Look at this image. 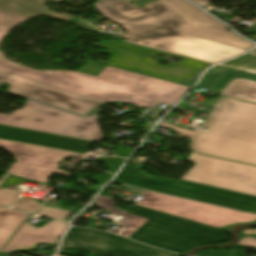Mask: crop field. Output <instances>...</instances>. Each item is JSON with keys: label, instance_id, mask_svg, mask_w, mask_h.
Segmentation results:
<instances>
[{"label": "crop field", "instance_id": "1", "mask_svg": "<svg viewBox=\"0 0 256 256\" xmlns=\"http://www.w3.org/2000/svg\"><path fill=\"white\" fill-rule=\"evenodd\" d=\"M109 20L128 30L122 39L184 56L218 62L245 50L180 34V16L158 1L139 9L122 0L94 4Z\"/></svg>", "mask_w": 256, "mask_h": 256}, {"label": "crop field", "instance_id": "2", "mask_svg": "<svg viewBox=\"0 0 256 256\" xmlns=\"http://www.w3.org/2000/svg\"><path fill=\"white\" fill-rule=\"evenodd\" d=\"M175 132L191 135V149L256 165V105L229 98H222L214 105L207 121L197 129L187 131L161 122Z\"/></svg>", "mask_w": 256, "mask_h": 256}, {"label": "crop field", "instance_id": "3", "mask_svg": "<svg viewBox=\"0 0 256 256\" xmlns=\"http://www.w3.org/2000/svg\"><path fill=\"white\" fill-rule=\"evenodd\" d=\"M96 206L124 216L118 222L129 225L120 235L169 251L186 255L194 246L227 240L222 229L172 216L136 205L124 212L116 209L112 199L99 195Z\"/></svg>", "mask_w": 256, "mask_h": 256}, {"label": "crop field", "instance_id": "4", "mask_svg": "<svg viewBox=\"0 0 256 256\" xmlns=\"http://www.w3.org/2000/svg\"><path fill=\"white\" fill-rule=\"evenodd\" d=\"M0 71L66 89L102 102H129L134 94L144 96L170 85L158 79L107 66L97 77L68 71H33L16 65L0 52Z\"/></svg>", "mask_w": 256, "mask_h": 256}, {"label": "crop field", "instance_id": "5", "mask_svg": "<svg viewBox=\"0 0 256 256\" xmlns=\"http://www.w3.org/2000/svg\"><path fill=\"white\" fill-rule=\"evenodd\" d=\"M97 117L98 113L92 117L83 118L34 101H27L22 109L10 115L0 114V124L90 141H100L102 134Z\"/></svg>", "mask_w": 256, "mask_h": 256}, {"label": "crop field", "instance_id": "6", "mask_svg": "<svg viewBox=\"0 0 256 256\" xmlns=\"http://www.w3.org/2000/svg\"><path fill=\"white\" fill-rule=\"evenodd\" d=\"M114 181L239 210H248L256 207V196L183 180L157 178L146 174L138 168L127 165Z\"/></svg>", "mask_w": 256, "mask_h": 256}, {"label": "crop field", "instance_id": "7", "mask_svg": "<svg viewBox=\"0 0 256 256\" xmlns=\"http://www.w3.org/2000/svg\"><path fill=\"white\" fill-rule=\"evenodd\" d=\"M99 47H103L107 49V52L100 51V53H105L111 55L110 59L107 62L102 60H97L102 63L124 68L127 70L159 77L162 79L178 82L186 79H190L196 76V74H200V71L176 66V65H161L158 64V59L154 60L152 57L154 55H165L170 57L181 58L180 62L177 64L197 68V69H205L208 67L209 63H205L202 61L150 49L141 46H136L128 43H124L121 41H113L112 43L101 42L99 44H94Z\"/></svg>", "mask_w": 256, "mask_h": 256}, {"label": "crop field", "instance_id": "8", "mask_svg": "<svg viewBox=\"0 0 256 256\" xmlns=\"http://www.w3.org/2000/svg\"><path fill=\"white\" fill-rule=\"evenodd\" d=\"M196 163L183 180L256 195V167L192 153Z\"/></svg>", "mask_w": 256, "mask_h": 256}, {"label": "crop field", "instance_id": "9", "mask_svg": "<svg viewBox=\"0 0 256 256\" xmlns=\"http://www.w3.org/2000/svg\"><path fill=\"white\" fill-rule=\"evenodd\" d=\"M62 248L83 249L93 254H132L136 256H180L147 245L139 244L125 237L100 231L71 227Z\"/></svg>", "mask_w": 256, "mask_h": 256}, {"label": "crop field", "instance_id": "10", "mask_svg": "<svg viewBox=\"0 0 256 256\" xmlns=\"http://www.w3.org/2000/svg\"><path fill=\"white\" fill-rule=\"evenodd\" d=\"M136 204L217 227L242 213V211L238 210L200 203L151 191L144 194Z\"/></svg>", "mask_w": 256, "mask_h": 256}, {"label": "crop field", "instance_id": "11", "mask_svg": "<svg viewBox=\"0 0 256 256\" xmlns=\"http://www.w3.org/2000/svg\"><path fill=\"white\" fill-rule=\"evenodd\" d=\"M159 2L181 16L179 32L245 50L254 45L226 30V26L222 23L183 0H160Z\"/></svg>", "mask_w": 256, "mask_h": 256}, {"label": "crop field", "instance_id": "12", "mask_svg": "<svg viewBox=\"0 0 256 256\" xmlns=\"http://www.w3.org/2000/svg\"><path fill=\"white\" fill-rule=\"evenodd\" d=\"M5 83L10 84L8 91L55 107L81 115L87 114L98 106L99 101L46 84L9 74Z\"/></svg>", "mask_w": 256, "mask_h": 256}, {"label": "crop field", "instance_id": "13", "mask_svg": "<svg viewBox=\"0 0 256 256\" xmlns=\"http://www.w3.org/2000/svg\"><path fill=\"white\" fill-rule=\"evenodd\" d=\"M0 139L86 153L92 142L0 125Z\"/></svg>", "mask_w": 256, "mask_h": 256}, {"label": "crop field", "instance_id": "14", "mask_svg": "<svg viewBox=\"0 0 256 256\" xmlns=\"http://www.w3.org/2000/svg\"><path fill=\"white\" fill-rule=\"evenodd\" d=\"M0 146L9 150L16 162L58 168V163L66 157H83L84 155L41 148L36 146L6 142L0 140Z\"/></svg>", "mask_w": 256, "mask_h": 256}, {"label": "crop field", "instance_id": "15", "mask_svg": "<svg viewBox=\"0 0 256 256\" xmlns=\"http://www.w3.org/2000/svg\"><path fill=\"white\" fill-rule=\"evenodd\" d=\"M189 87L173 84L149 93L144 97L134 95L130 104L156 108L159 103L172 105Z\"/></svg>", "mask_w": 256, "mask_h": 256}, {"label": "crop field", "instance_id": "16", "mask_svg": "<svg viewBox=\"0 0 256 256\" xmlns=\"http://www.w3.org/2000/svg\"><path fill=\"white\" fill-rule=\"evenodd\" d=\"M0 10L29 18H34L38 15H46L67 21L72 18V16L52 12L47 7L23 0H0Z\"/></svg>", "mask_w": 256, "mask_h": 256}, {"label": "crop field", "instance_id": "17", "mask_svg": "<svg viewBox=\"0 0 256 256\" xmlns=\"http://www.w3.org/2000/svg\"><path fill=\"white\" fill-rule=\"evenodd\" d=\"M43 172H45L46 174H43ZM53 173L73 177V175L60 169L18 163H13V165L6 172V174L8 175L44 184L49 183V177Z\"/></svg>", "mask_w": 256, "mask_h": 256}, {"label": "crop field", "instance_id": "18", "mask_svg": "<svg viewBox=\"0 0 256 256\" xmlns=\"http://www.w3.org/2000/svg\"><path fill=\"white\" fill-rule=\"evenodd\" d=\"M39 243L56 246L57 235L15 233L0 252L15 249H35Z\"/></svg>", "mask_w": 256, "mask_h": 256}, {"label": "crop field", "instance_id": "19", "mask_svg": "<svg viewBox=\"0 0 256 256\" xmlns=\"http://www.w3.org/2000/svg\"><path fill=\"white\" fill-rule=\"evenodd\" d=\"M29 214L0 207V250Z\"/></svg>", "mask_w": 256, "mask_h": 256}, {"label": "crop field", "instance_id": "20", "mask_svg": "<svg viewBox=\"0 0 256 256\" xmlns=\"http://www.w3.org/2000/svg\"><path fill=\"white\" fill-rule=\"evenodd\" d=\"M220 95L256 102V82L243 79L232 80Z\"/></svg>", "mask_w": 256, "mask_h": 256}, {"label": "crop field", "instance_id": "21", "mask_svg": "<svg viewBox=\"0 0 256 256\" xmlns=\"http://www.w3.org/2000/svg\"><path fill=\"white\" fill-rule=\"evenodd\" d=\"M30 223L24 222L23 225L17 232L27 233H50V234H62L65 228L68 226L67 223H62L52 220L47 225L37 229L29 225Z\"/></svg>", "mask_w": 256, "mask_h": 256}, {"label": "crop field", "instance_id": "22", "mask_svg": "<svg viewBox=\"0 0 256 256\" xmlns=\"http://www.w3.org/2000/svg\"><path fill=\"white\" fill-rule=\"evenodd\" d=\"M218 66L256 74V57L245 55L241 58L230 60Z\"/></svg>", "mask_w": 256, "mask_h": 256}, {"label": "crop field", "instance_id": "23", "mask_svg": "<svg viewBox=\"0 0 256 256\" xmlns=\"http://www.w3.org/2000/svg\"><path fill=\"white\" fill-rule=\"evenodd\" d=\"M26 180H22L16 177L10 176L6 182H8L5 188H0V205L9 207V205L15 200V198L21 193L19 190H9V185H19Z\"/></svg>", "mask_w": 256, "mask_h": 256}, {"label": "crop field", "instance_id": "24", "mask_svg": "<svg viewBox=\"0 0 256 256\" xmlns=\"http://www.w3.org/2000/svg\"><path fill=\"white\" fill-rule=\"evenodd\" d=\"M28 18L0 12V45L3 37L16 25L26 21Z\"/></svg>", "mask_w": 256, "mask_h": 256}, {"label": "crop field", "instance_id": "25", "mask_svg": "<svg viewBox=\"0 0 256 256\" xmlns=\"http://www.w3.org/2000/svg\"><path fill=\"white\" fill-rule=\"evenodd\" d=\"M70 211H76V209L70 210V208L63 207V206H60L59 209L44 207V209L41 211L40 215L64 220L66 218V216L70 213Z\"/></svg>", "mask_w": 256, "mask_h": 256}, {"label": "crop field", "instance_id": "26", "mask_svg": "<svg viewBox=\"0 0 256 256\" xmlns=\"http://www.w3.org/2000/svg\"><path fill=\"white\" fill-rule=\"evenodd\" d=\"M41 207L42 205L39 204L37 201L26 198H19L13 205V208L30 211L35 214L39 211Z\"/></svg>", "mask_w": 256, "mask_h": 256}, {"label": "crop field", "instance_id": "27", "mask_svg": "<svg viewBox=\"0 0 256 256\" xmlns=\"http://www.w3.org/2000/svg\"><path fill=\"white\" fill-rule=\"evenodd\" d=\"M105 67L106 65L89 60L77 72L97 77Z\"/></svg>", "mask_w": 256, "mask_h": 256}, {"label": "crop field", "instance_id": "28", "mask_svg": "<svg viewBox=\"0 0 256 256\" xmlns=\"http://www.w3.org/2000/svg\"><path fill=\"white\" fill-rule=\"evenodd\" d=\"M254 222H256V215L244 212L241 215H239L238 217H236L233 220H231L230 222H228L227 224L221 226L220 228L230 229L235 224L254 223Z\"/></svg>", "mask_w": 256, "mask_h": 256}, {"label": "crop field", "instance_id": "29", "mask_svg": "<svg viewBox=\"0 0 256 256\" xmlns=\"http://www.w3.org/2000/svg\"><path fill=\"white\" fill-rule=\"evenodd\" d=\"M122 158L119 157H112L111 159L106 158H98V161L105 162L110 169L111 173H115L117 169L122 165L123 161Z\"/></svg>", "mask_w": 256, "mask_h": 256}, {"label": "crop field", "instance_id": "30", "mask_svg": "<svg viewBox=\"0 0 256 256\" xmlns=\"http://www.w3.org/2000/svg\"><path fill=\"white\" fill-rule=\"evenodd\" d=\"M195 256H245V254L237 252L199 251Z\"/></svg>", "mask_w": 256, "mask_h": 256}, {"label": "crop field", "instance_id": "31", "mask_svg": "<svg viewBox=\"0 0 256 256\" xmlns=\"http://www.w3.org/2000/svg\"><path fill=\"white\" fill-rule=\"evenodd\" d=\"M155 1H157V0H134V1L130 2V3H132V4L142 8V7H144V6L148 5V4H151V3L155 2Z\"/></svg>", "mask_w": 256, "mask_h": 256}, {"label": "crop field", "instance_id": "32", "mask_svg": "<svg viewBox=\"0 0 256 256\" xmlns=\"http://www.w3.org/2000/svg\"><path fill=\"white\" fill-rule=\"evenodd\" d=\"M240 244L246 245V246L256 247V239L245 237V238L240 242Z\"/></svg>", "mask_w": 256, "mask_h": 256}, {"label": "crop field", "instance_id": "33", "mask_svg": "<svg viewBox=\"0 0 256 256\" xmlns=\"http://www.w3.org/2000/svg\"><path fill=\"white\" fill-rule=\"evenodd\" d=\"M115 151L118 152L116 155L124 156V157H128L129 154L132 152V150H127V149L120 148V147L116 148Z\"/></svg>", "mask_w": 256, "mask_h": 256}, {"label": "crop field", "instance_id": "34", "mask_svg": "<svg viewBox=\"0 0 256 256\" xmlns=\"http://www.w3.org/2000/svg\"><path fill=\"white\" fill-rule=\"evenodd\" d=\"M113 175L111 174H107V175H101V176H96L94 178V180L98 183H102L104 184L110 177H112Z\"/></svg>", "mask_w": 256, "mask_h": 256}, {"label": "crop field", "instance_id": "35", "mask_svg": "<svg viewBox=\"0 0 256 256\" xmlns=\"http://www.w3.org/2000/svg\"><path fill=\"white\" fill-rule=\"evenodd\" d=\"M221 71H235V70H231V69H226V68L215 66L212 69L208 70L207 73H215V72H221Z\"/></svg>", "mask_w": 256, "mask_h": 256}, {"label": "crop field", "instance_id": "36", "mask_svg": "<svg viewBox=\"0 0 256 256\" xmlns=\"http://www.w3.org/2000/svg\"><path fill=\"white\" fill-rule=\"evenodd\" d=\"M193 1L194 3L200 5L201 7L205 6V5H208L209 4V1L211 0H191Z\"/></svg>", "mask_w": 256, "mask_h": 256}, {"label": "crop field", "instance_id": "37", "mask_svg": "<svg viewBox=\"0 0 256 256\" xmlns=\"http://www.w3.org/2000/svg\"><path fill=\"white\" fill-rule=\"evenodd\" d=\"M197 77H198V75L193 80H188V81H184V82H180V83L189 86L190 84L195 83Z\"/></svg>", "mask_w": 256, "mask_h": 256}, {"label": "crop field", "instance_id": "38", "mask_svg": "<svg viewBox=\"0 0 256 256\" xmlns=\"http://www.w3.org/2000/svg\"><path fill=\"white\" fill-rule=\"evenodd\" d=\"M7 76L8 73L0 72V85L4 82Z\"/></svg>", "mask_w": 256, "mask_h": 256}, {"label": "crop field", "instance_id": "39", "mask_svg": "<svg viewBox=\"0 0 256 256\" xmlns=\"http://www.w3.org/2000/svg\"><path fill=\"white\" fill-rule=\"evenodd\" d=\"M30 1L37 2V3H40V4H44V2H45L46 0H30ZM52 1L60 2L61 0H52Z\"/></svg>", "mask_w": 256, "mask_h": 256}, {"label": "crop field", "instance_id": "40", "mask_svg": "<svg viewBox=\"0 0 256 256\" xmlns=\"http://www.w3.org/2000/svg\"><path fill=\"white\" fill-rule=\"evenodd\" d=\"M244 233L246 234H256V230H249V229H246L243 231Z\"/></svg>", "mask_w": 256, "mask_h": 256}, {"label": "crop field", "instance_id": "41", "mask_svg": "<svg viewBox=\"0 0 256 256\" xmlns=\"http://www.w3.org/2000/svg\"><path fill=\"white\" fill-rule=\"evenodd\" d=\"M122 230V228L116 227L115 229H110L108 231L114 232V233H119Z\"/></svg>", "mask_w": 256, "mask_h": 256}, {"label": "crop field", "instance_id": "42", "mask_svg": "<svg viewBox=\"0 0 256 256\" xmlns=\"http://www.w3.org/2000/svg\"><path fill=\"white\" fill-rule=\"evenodd\" d=\"M248 55L256 56V49L254 51H252L251 53H249Z\"/></svg>", "mask_w": 256, "mask_h": 256}, {"label": "crop field", "instance_id": "43", "mask_svg": "<svg viewBox=\"0 0 256 256\" xmlns=\"http://www.w3.org/2000/svg\"><path fill=\"white\" fill-rule=\"evenodd\" d=\"M249 211L256 213V208H254V209H252V210H249Z\"/></svg>", "mask_w": 256, "mask_h": 256}, {"label": "crop field", "instance_id": "44", "mask_svg": "<svg viewBox=\"0 0 256 256\" xmlns=\"http://www.w3.org/2000/svg\"><path fill=\"white\" fill-rule=\"evenodd\" d=\"M94 1H103V0H94ZM125 1H130V0H125Z\"/></svg>", "mask_w": 256, "mask_h": 256}, {"label": "crop field", "instance_id": "45", "mask_svg": "<svg viewBox=\"0 0 256 256\" xmlns=\"http://www.w3.org/2000/svg\"><path fill=\"white\" fill-rule=\"evenodd\" d=\"M57 256H60V255H57Z\"/></svg>", "mask_w": 256, "mask_h": 256}]
</instances>
